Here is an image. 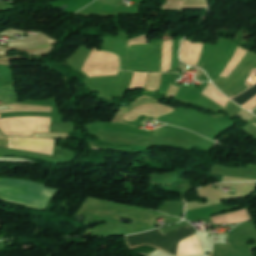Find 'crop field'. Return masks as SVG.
<instances>
[{"instance_id": "obj_3", "label": "crop field", "mask_w": 256, "mask_h": 256, "mask_svg": "<svg viewBox=\"0 0 256 256\" xmlns=\"http://www.w3.org/2000/svg\"><path fill=\"white\" fill-rule=\"evenodd\" d=\"M10 146L12 148H19L25 150H31L43 154L52 155L55 141L52 139L42 138H24L14 137L9 138Z\"/></svg>"}, {"instance_id": "obj_1", "label": "crop field", "mask_w": 256, "mask_h": 256, "mask_svg": "<svg viewBox=\"0 0 256 256\" xmlns=\"http://www.w3.org/2000/svg\"><path fill=\"white\" fill-rule=\"evenodd\" d=\"M58 191L44 184L18 178L0 179V197L34 208L43 209Z\"/></svg>"}, {"instance_id": "obj_5", "label": "crop field", "mask_w": 256, "mask_h": 256, "mask_svg": "<svg viewBox=\"0 0 256 256\" xmlns=\"http://www.w3.org/2000/svg\"><path fill=\"white\" fill-rule=\"evenodd\" d=\"M10 106V105H9Z\"/></svg>"}, {"instance_id": "obj_4", "label": "crop field", "mask_w": 256, "mask_h": 256, "mask_svg": "<svg viewBox=\"0 0 256 256\" xmlns=\"http://www.w3.org/2000/svg\"><path fill=\"white\" fill-rule=\"evenodd\" d=\"M256 94V85L252 87L251 89L247 90L246 92L242 93L241 95L237 96L233 100L237 102L238 104L242 105L247 100H249L251 97H253Z\"/></svg>"}, {"instance_id": "obj_2", "label": "crop field", "mask_w": 256, "mask_h": 256, "mask_svg": "<svg viewBox=\"0 0 256 256\" xmlns=\"http://www.w3.org/2000/svg\"><path fill=\"white\" fill-rule=\"evenodd\" d=\"M191 230L193 228L187 225L166 234L161 229H158L126 237L131 247L138 246L142 243H150L175 255L178 242L195 234Z\"/></svg>"}]
</instances>
